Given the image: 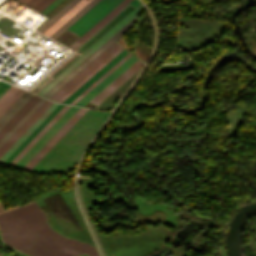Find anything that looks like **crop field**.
Here are the masks:
<instances>
[{
  "instance_id": "obj_1",
  "label": "crop field",
  "mask_w": 256,
  "mask_h": 256,
  "mask_svg": "<svg viewBox=\"0 0 256 256\" xmlns=\"http://www.w3.org/2000/svg\"><path fill=\"white\" fill-rule=\"evenodd\" d=\"M0 230L5 243L31 256H99L95 247L53 231L36 202L0 215Z\"/></svg>"
},
{
  "instance_id": "obj_2",
  "label": "crop field",
  "mask_w": 256,
  "mask_h": 256,
  "mask_svg": "<svg viewBox=\"0 0 256 256\" xmlns=\"http://www.w3.org/2000/svg\"><path fill=\"white\" fill-rule=\"evenodd\" d=\"M109 114L88 110L31 170L69 171Z\"/></svg>"
},
{
  "instance_id": "obj_3",
  "label": "crop field",
  "mask_w": 256,
  "mask_h": 256,
  "mask_svg": "<svg viewBox=\"0 0 256 256\" xmlns=\"http://www.w3.org/2000/svg\"><path fill=\"white\" fill-rule=\"evenodd\" d=\"M141 3L138 0H132L130 1L127 6L130 7L132 10H134L137 6H139ZM123 8L118 14H116L110 21H108L102 28H100L95 34H93L87 41H85L79 48L76 49V51L78 52H71L73 54H69L67 55L63 60H65L68 56V58L63 61L61 60L56 66H54L50 71H48L44 76H42L37 82H35L30 88H28V90H30L32 87H34L40 80H42L48 73H50L55 67H57L62 61V63L55 68L50 74H48L42 81H40L34 88H32L30 91H33L35 88H37L43 81H45L49 76H51L55 71H57L61 66H63L67 61H69L73 56H75L77 53V55L75 57H73L69 62H67L63 67H61L57 72H55L51 77H49V79H53L54 77H56L62 70H64L70 63H72L78 56H80L85 50H87L92 44H94L99 38H101L106 32H108L114 25H116L121 19H123L128 13H130L132 10H130L128 7ZM50 80H46L45 82H43L37 89L34 90V92H38L39 90H41L47 83H49Z\"/></svg>"
},
{
  "instance_id": "obj_4",
  "label": "crop field",
  "mask_w": 256,
  "mask_h": 256,
  "mask_svg": "<svg viewBox=\"0 0 256 256\" xmlns=\"http://www.w3.org/2000/svg\"><path fill=\"white\" fill-rule=\"evenodd\" d=\"M122 0H100L55 41L69 47Z\"/></svg>"
},
{
  "instance_id": "obj_5",
  "label": "crop field",
  "mask_w": 256,
  "mask_h": 256,
  "mask_svg": "<svg viewBox=\"0 0 256 256\" xmlns=\"http://www.w3.org/2000/svg\"><path fill=\"white\" fill-rule=\"evenodd\" d=\"M143 9L145 8L141 4L125 19H123L118 25H116L111 31H109L104 37H102L97 43H95L90 49H88L83 55H81L76 61H74L69 67H67L62 73H60L55 79H53L48 85H46L41 91H39L38 94L43 95L45 92H47L58 81H60L77 65H79L83 60H85L90 54H92L96 49H98L103 43H105L109 38H111L116 32H118L122 27H124L129 21H131L136 15H138Z\"/></svg>"
},
{
  "instance_id": "obj_6",
  "label": "crop field",
  "mask_w": 256,
  "mask_h": 256,
  "mask_svg": "<svg viewBox=\"0 0 256 256\" xmlns=\"http://www.w3.org/2000/svg\"><path fill=\"white\" fill-rule=\"evenodd\" d=\"M79 108L71 107L44 135L43 137L14 165L21 169L35 153L65 124V122L78 110Z\"/></svg>"
},
{
  "instance_id": "obj_7",
  "label": "crop field",
  "mask_w": 256,
  "mask_h": 256,
  "mask_svg": "<svg viewBox=\"0 0 256 256\" xmlns=\"http://www.w3.org/2000/svg\"><path fill=\"white\" fill-rule=\"evenodd\" d=\"M119 47L120 46L114 42L110 47H108L103 53H101L95 60H93L87 67H85L79 74H77L71 81H69L51 98L57 101Z\"/></svg>"
},
{
  "instance_id": "obj_8",
  "label": "crop field",
  "mask_w": 256,
  "mask_h": 256,
  "mask_svg": "<svg viewBox=\"0 0 256 256\" xmlns=\"http://www.w3.org/2000/svg\"><path fill=\"white\" fill-rule=\"evenodd\" d=\"M142 63L137 60L128 69H126L121 75H119L114 81H112L107 87H105L100 93H98L93 99H91L90 102L98 105L110 93H112L117 87H119L131 75H133L139 68H141L144 65Z\"/></svg>"
},
{
  "instance_id": "obj_9",
  "label": "crop field",
  "mask_w": 256,
  "mask_h": 256,
  "mask_svg": "<svg viewBox=\"0 0 256 256\" xmlns=\"http://www.w3.org/2000/svg\"><path fill=\"white\" fill-rule=\"evenodd\" d=\"M58 105V103L53 102L45 110V112L26 130V132L7 150V152L5 151L6 153L0 158V162L3 163Z\"/></svg>"
},
{
  "instance_id": "obj_10",
  "label": "crop field",
  "mask_w": 256,
  "mask_h": 256,
  "mask_svg": "<svg viewBox=\"0 0 256 256\" xmlns=\"http://www.w3.org/2000/svg\"><path fill=\"white\" fill-rule=\"evenodd\" d=\"M127 53L128 52L123 49L118 55H116L111 61H109L90 79H88L82 86H80L74 93H72L66 100H64L63 103L69 104L71 101H73L79 94H81L86 88H88L94 81H96L101 75H103L109 68H111Z\"/></svg>"
},
{
  "instance_id": "obj_11",
  "label": "crop field",
  "mask_w": 256,
  "mask_h": 256,
  "mask_svg": "<svg viewBox=\"0 0 256 256\" xmlns=\"http://www.w3.org/2000/svg\"><path fill=\"white\" fill-rule=\"evenodd\" d=\"M136 60L137 59L132 56L125 63L123 62L124 64H122L118 69L116 68L117 70H115L111 75H109L104 81H102L97 87H95L91 92H89L84 98H82L75 105L83 106L85 103H87L92 97H94L99 91H101L106 85H108L112 80H114L119 74H121L126 68H128Z\"/></svg>"
},
{
  "instance_id": "obj_12",
  "label": "crop field",
  "mask_w": 256,
  "mask_h": 256,
  "mask_svg": "<svg viewBox=\"0 0 256 256\" xmlns=\"http://www.w3.org/2000/svg\"><path fill=\"white\" fill-rule=\"evenodd\" d=\"M69 108L70 107L68 106H64L51 119V121L22 149V151L9 163V165L13 166Z\"/></svg>"
},
{
  "instance_id": "obj_13",
  "label": "crop field",
  "mask_w": 256,
  "mask_h": 256,
  "mask_svg": "<svg viewBox=\"0 0 256 256\" xmlns=\"http://www.w3.org/2000/svg\"><path fill=\"white\" fill-rule=\"evenodd\" d=\"M33 96L28 92H24L12 106L0 117V130L5 124L24 106V104Z\"/></svg>"
},
{
  "instance_id": "obj_14",
  "label": "crop field",
  "mask_w": 256,
  "mask_h": 256,
  "mask_svg": "<svg viewBox=\"0 0 256 256\" xmlns=\"http://www.w3.org/2000/svg\"><path fill=\"white\" fill-rule=\"evenodd\" d=\"M90 1L91 0H81L78 4H76L71 10H69L65 15H63L59 20H57L52 26H50L42 34L49 37Z\"/></svg>"
},
{
  "instance_id": "obj_15",
  "label": "crop field",
  "mask_w": 256,
  "mask_h": 256,
  "mask_svg": "<svg viewBox=\"0 0 256 256\" xmlns=\"http://www.w3.org/2000/svg\"><path fill=\"white\" fill-rule=\"evenodd\" d=\"M130 0H124L115 9H113L108 15H106L101 21H99L94 27H92L87 33H85L80 39H78L69 48L75 49L85 39H87L92 33H94L100 26H102L107 20H109L115 13H117L123 6H125Z\"/></svg>"
},
{
  "instance_id": "obj_16",
  "label": "crop field",
  "mask_w": 256,
  "mask_h": 256,
  "mask_svg": "<svg viewBox=\"0 0 256 256\" xmlns=\"http://www.w3.org/2000/svg\"><path fill=\"white\" fill-rule=\"evenodd\" d=\"M59 105L47 118L46 120L17 148V150L4 162L8 164L19 152L20 150L49 122V120L62 108Z\"/></svg>"
},
{
  "instance_id": "obj_17",
  "label": "crop field",
  "mask_w": 256,
  "mask_h": 256,
  "mask_svg": "<svg viewBox=\"0 0 256 256\" xmlns=\"http://www.w3.org/2000/svg\"><path fill=\"white\" fill-rule=\"evenodd\" d=\"M99 0H92L88 3L82 10H80L75 16H73L68 22H66L60 29H58L53 35L49 38L55 39L63 31H65L71 24H73L78 18H80L85 12H87L92 6H94Z\"/></svg>"
},
{
  "instance_id": "obj_18",
  "label": "crop field",
  "mask_w": 256,
  "mask_h": 256,
  "mask_svg": "<svg viewBox=\"0 0 256 256\" xmlns=\"http://www.w3.org/2000/svg\"><path fill=\"white\" fill-rule=\"evenodd\" d=\"M130 56L129 53L124 56L118 63H116L111 69H109L103 76H101L96 82H94L88 89H86L81 95H79L71 105H74L78 102L82 97H84L89 91H91L95 86H97L102 80H104L109 74H111L116 68H118L123 62H125Z\"/></svg>"
},
{
  "instance_id": "obj_19",
  "label": "crop field",
  "mask_w": 256,
  "mask_h": 256,
  "mask_svg": "<svg viewBox=\"0 0 256 256\" xmlns=\"http://www.w3.org/2000/svg\"><path fill=\"white\" fill-rule=\"evenodd\" d=\"M39 98L34 95L26 105L7 123V125L0 131V138L11 128V126L30 108V106ZM33 106V105H32ZM31 106V107H32Z\"/></svg>"
},
{
  "instance_id": "obj_20",
  "label": "crop field",
  "mask_w": 256,
  "mask_h": 256,
  "mask_svg": "<svg viewBox=\"0 0 256 256\" xmlns=\"http://www.w3.org/2000/svg\"><path fill=\"white\" fill-rule=\"evenodd\" d=\"M123 48H119L116 50L111 56H109L104 62H102L97 68H95L89 75H87L82 81H80L75 87H73L68 93H66L61 99H59V102H62L64 99H66L72 92H74L80 85H82L88 78H90L95 72H97L103 65H105L111 58H113L119 51H121ZM120 53V52H119ZM118 53V54H119ZM117 54V55H118ZM112 60V59H111ZM110 60V61H111ZM104 67V66H103Z\"/></svg>"
},
{
  "instance_id": "obj_21",
  "label": "crop field",
  "mask_w": 256,
  "mask_h": 256,
  "mask_svg": "<svg viewBox=\"0 0 256 256\" xmlns=\"http://www.w3.org/2000/svg\"><path fill=\"white\" fill-rule=\"evenodd\" d=\"M79 0H72L64 8H62L58 13H56L52 18H50L46 23H44L37 31L43 32L46 30L52 23H54L59 17H61L66 11H68L74 4Z\"/></svg>"
},
{
  "instance_id": "obj_22",
  "label": "crop field",
  "mask_w": 256,
  "mask_h": 256,
  "mask_svg": "<svg viewBox=\"0 0 256 256\" xmlns=\"http://www.w3.org/2000/svg\"><path fill=\"white\" fill-rule=\"evenodd\" d=\"M53 0H30L28 1L26 4L38 9V10H42L43 8H45L50 2H52Z\"/></svg>"
},
{
  "instance_id": "obj_23",
  "label": "crop field",
  "mask_w": 256,
  "mask_h": 256,
  "mask_svg": "<svg viewBox=\"0 0 256 256\" xmlns=\"http://www.w3.org/2000/svg\"><path fill=\"white\" fill-rule=\"evenodd\" d=\"M24 92V90L19 89L0 109V116L10 107V105Z\"/></svg>"
},
{
  "instance_id": "obj_24",
  "label": "crop field",
  "mask_w": 256,
  "mask_h": 256,
  "mask_svg": "<svg viewBox=\"0 0 256 256\" xmlns=\"http://www.w3.org/2000/svg\"><path fill=\"white\" fill-rule=\"evenodd\" d=\"M18 90V88L11 86L0 98V108L4 103Z\"/></svg>"
},
{
  "instance_id": "obj_25",
  "label": "crop field",
  "mask_w": 256,
  "mask_h": 256,
  "mask_svg": "<svg viewBox=\"0 0 256 256\" xmlns=\"http://www.w3.org/2000/svg\"><path fill=\"white\" fill-rule=\"evenodd\" d=\"M10 87V85L5 84L0 81V96Z\"/></svg>"
},
{
  "instance_id": "obj_26",
  "label": "crop field",
  "mask_w": 256,
  "mask_h": 256,
  "mask_svg": "<svg viewBox=\"0 0 256 256\" xmlns=\"http://www.w3.org/2000/svg\"><path fill=\"white\" fill-rule=\"evenodd\" d=\"M20 1H22V2L26 3L28 0H20Z\"/></svg>"
}]
</instances>
